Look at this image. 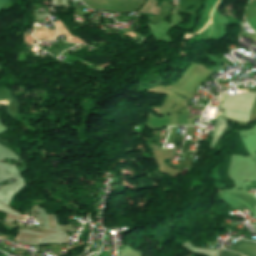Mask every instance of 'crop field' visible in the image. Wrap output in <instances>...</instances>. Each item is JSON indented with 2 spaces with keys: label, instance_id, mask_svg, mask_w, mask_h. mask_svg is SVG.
Wrapping results in <instances>:
<instances>
[{
  "label": "crop field",
  "instance_id": "crop-field-1",
  "mask_svg": "<svg viewBox=\"0 0 256 256\" xmlns=\"http://www.w3.org/2000/svg\"><path fill=\"white\" fill-rule=\"evenodd\" d=\"M219 256H241V255L234 254V253H231V252H228V251H221Z\"/></svg>",
  "mask_w": 256,
  "mask_h": 256
},
{
  "label": "crop field",
  "instance_id": "crop-field-2",
  "mask_svg": "<svg viewBox=\"0 0 256 256\" xmlns=\"http://www.w3.org/2000/svg\"><path fill=\"white\" fill-rule=\"evenodd\" d=\"M9 0H0V8L6 3L8 2Z\"/></svg>",
  "mask_w": 256,
  "mask_h": 256
}]
</instances>
